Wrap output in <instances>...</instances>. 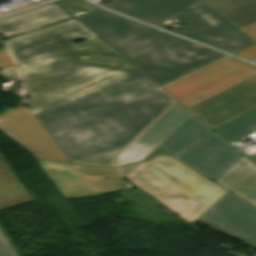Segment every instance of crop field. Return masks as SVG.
Masks as SVG:
<instances>
[{
  "instance_id": "crop-field-3",
  "label": "crop field",
  "mask_w": 256,
  "mask_h": 256,
  "mask_svg": "<svg viewBox=\"0 0 256 256\" xmlns=\"http://www.w3.org/2000/svg\"><path fill=\"white\" fill-rule=\"evenodd\" d=\"M254 69L229 57L163 89L213 129L256 106Z\"/></svg>"
},
{
  "instance_id": "crop-field-15",
  "label": "crop field",
  "mask_w": 256,
  "mask_h": 256,
  "mask_svg": "<svg viewBox=\"0 0 256 256\" xmlns=\"http://www.w3.org/2000/svg\"><path fill=\"white\" fill-rule=\"evenodd\" d=\"M209 131L211 130L192 115L158 146L173 155L180 154L195 145Z\"/></svg>"
},
{
  "instance_id": "crop-field-7",
  "label": "crop field",
  "mask_w": 256,
  "mask_h": 256,
  "mask_svg": "<svg viewBox=\"0 0 256 256\" xmlns=\"http://www.w3.org/2000/svg\"><path fill=\"white\" fill-rule=\"evenodd\" d=\"M240 154L212 131L176 157L256 206V166Z\"/></svg>"
},
{
  "instance_id": "crop-field-4",
  "label": "crop field",
  "mask_w": 256,
  "mask_h": 256,
  "mask_svg": "<svg viewBox=\"0 0 256 256\" xmlns=\"http://www.w3.org/2000/svg\"><path fill=\"white\" fill-rule=\"evenodd\" d=\"M111 50L100 39L18 65L29 112L35 114L128 72L81 59Z\"/></svg>"
},
{
  "instance_id": "crop-field-17",
  "label": "crop field",
  "mask_w": 256,
  "mask_h": 256,
  "mask_svg": "<svg viewBox=\"0 0 256 256\" xmlns=\"http://www.w3.org/2000/svg\"><path fill=\"white\" fill-rule=\"evenodd\" d=\"M73 165L94 188L96 191L94 195L109 194L123 189V183L119 179L115 169Z\"/></svg>"
},
{
  "instance_id": "crop-field-24",
  "label": "crop field",
  "mask_w": 256,
  "mask_h": 256,
  "mask_svg": "<svg viewBox=\"0 0 256 256\" xmlns=\"http://www.w3.org/2000/svg\"><path fill=\"white\" fill-rule=\"evenodd\" d=\"M156 154H165V155H171L168 152H166L165 150L161 149L160 147H156L148 156H146L143 160H147L149 158H151L152 156L156 155ZM142 160V161H143Z\"/></svg>"
},
{
  "instance_id": "crop-field-23",
  "label": "crop field",
  "mask_w": 256,
  "mask_h": 256,
  "mask_svg": "<svg viewBox=\"0 0 256 256\" xmlns=\"http://www.w3.org/2000/svg\"><path fill=\"white\" fill-rule=\"evenodd\" d=\"M0 75L8 79L18 78L15 66L1 70Z\"/></svg>"
},
{
  "instance_id": "crop-field-10",
  "label": "crop field",
  "mask_w": 256,
  "mask_h": 256,
  "mask_svg": "<svg viewBox=\"0 0 256 256\" xmlns=\"http://www.w3.org/2000/svg\"><path fill=\"white\" fill-rule=\"evenodd\" d=\"M197 220L229 236L256 244V209L229 192Z\"/></svg>"
},
{
  "instance_id": "crop-field-8",
  "label": "crop field",
  "mask_w": 256,
  "mask_h": 256,
  "mask_svg": "<svg viewBox=\"0 0 256 256\" xmlns=\"http://www.w3.org/2000/svg\"><path fill=\"white\" fill-rule=\"evenodd\" d=\"M79 39L83 42L73 43ZM95 39L98 37L75 19H70L5 40V43L18 65Z\"/></svg>"
},
{
  "instance_id": "crop-field-22",
  "label": "crop field",
  "mask_w": 256,
  "mask_h": 256,
  "mask_svg": "<svg viewBox=\"0 0 256 256\" xmlns=\"http://www.w3.org/2000/svg\"><path fill=\"white\" fill-rule=\"evenodd\" d=\"M0 44L2 43L0 42ZM11 66H14V63L9 58L5 49L0 50V70Z\"/></svg>"
},
{
  "instance_id": "crop-field-12",
  "label": "crop field",
  "mask_w": 256,
  "mask_h": 256,
  "mask_svg": "<svg viewBox=\"0 0 256 256\" xmlns=\"http://www.w3.org/2000/svg\"><path fill=\"white\" fill-rule=\"evenodd\" d=\"M235 27L255 41L254 44L234 53L256 59V0H202Z\"/></svg>"
},
{
  "instance_id": "crop-field-19",
  "label": "crop field",
  "mask_w": 256,
  "mask_h": 256,
  "mask_svg": "<svg viewBox=\"0 0 256 256\" xmlns=\"http://www.w3.org/2000/svg\"><path fill=\"white\" fill-rule=\"evenodd\" d=\"M83 60L128 72L135 70L133 66L126 62L113 50Z\"/></svg>"
},
{
  "instance_id": "crop-field-6",
  "label": "crop field",
  "mask_w": 256,
  "mask_h": 256,
  "mask_svg": "<svg viewBox=\"0 0 256 256\" xmlns=\"http://www.w3.org/2000/svg\"><path fill=\"white\" fill-rule=\"evenodd\" d=\"M104 6L158 27L173 17L188 24L179 34L231 53L254 43L201 0H114Z\"/></svg>"
},
{
  "instance_id": "crop-field-20",
  "label": "crop field",
  "mask_w": 256,
  "mask_h": 256,
  "mask_svg": "<svg viewBox=\"0 0 256 256\" xmlns=\"http://www.w3.org/2000/svg\"><path fill=\"white\" fill-rule=\"evenodd\" d=\"M122 148L112 151L104 152L101 154L93 155L90 157L82 158L79 160L71 161L74 163H80L84 165H101V166H114L115 154Z\"/></svg>"
},
{
  "instance_id": "crop-field-5",
  "label": "crop field",
  "mask_w": 256,
  "mask_h": 256,
  "mask_svg": "<svg viewBox=\"0 0 256 256\" xmlns=\"http://www.w3.org/2000/svg\"><path fill=\"white\" fill-rule=\"evenodd\" d=\"M124 178L187 223L201 216L227 192L169 156L140 162Z\"/></svg>"
},
{
  "instance_id": "crop-field-26",
  "label": "crop field",
  "mask_w": 256,
  "mask_h": 256,
  "mask_svg": "<svg viewBox=\"0 0 256 256\" xmlns=\"http://www.w3.org/2000/svg\"><path fill=\"white\" fill-rule=\"evenodd\" d=\"M0 231L2 232L3 236L5 237V239L7 240V242L9 243V245L11 246L12 250L14 251V253L16 254V256H20L18 254V252L16 251L15 247L13 246V244L11 243V241L9 240V238L7 237V235L5 234V232L3 231V229L0 226Z\"/></svg>"
},
{
  "instance_id": "crop-field-21",
  "label": "crop field",
  "mask_w": 256,
  "mask_h": 256,
  "mask_svg": "<svg viewBox=\"0 0 256 256\" xmlns=\"http://www.w3.org/2000/svg\"><path fill=\"white\" fill-rule=\"evenodd\" d=\"M0 256H15L0 232Z\"/></svg>"
},
{
  "instance_id": "crop-field-1",
  "label": "crop field",
  "mask_w": 256,
  "mask_h": 256,
  "mask_svg": "<svg viewBox=\"0 0 256 256\" xmlns=\"http://www.w3.org/2000/svg\"><path fill=\"white\" fill-rule=\"evenodd\" d=\"M138 70L35 114L69 161L125 146L172 102Z\"/></svg>"
},
{
  "instance_id": "crop-field-16",
  "label": "crop field",
  "mask_w": 256,
  "mask_h": 256,
  "mask_svg": "<svg viewBox=\"0 0 256 256\" xmlns=\"http://www.w3.org/2000/svg\"><path fill=\"white\" fill-rule=\"evenodd\" d=\"M29 202H33V199L4 160L0 161V209Z\"/></svg>"
},
{
  "instance_id": "crop-field-18",
  "label": "crop field",
  "mask_w": 256,
  "mask_h": 256,
  "mask_svg": "<svg viewBox=\"0 0 256 256\" xmlns=\"http://www.w3.org/2000/svg\"><path fill=\"white\" fill-rule=\"evenodd\" d=\"M230 144L256 131V107L213 129Z\"/></svg>"
},
{
  "instance_id": "crop-field-2",
  "label": "crop field",
  "mask_w": 256,
  "mask_h": 256,
  "mask_svg": "<svg viewBox=\"0 0 256 256\" xmlns=\"http://www.w3.org/2000/svg\"><path fill=\"white\" fill-rule=\"evenodd\" d=\"M76 20L159 87L226 56L99 8Z\"/></svg>"
},
{
  "instance_id": "crop-field-25",
  "label": "crop field",
  "mask_w": 256,
  "mask_h": 256,
  "mask_svg": "<svg viewBox=\"0 0 256 256\" xmlns=\"http://www.w3.org/2000/svg\"><path fill=\"white\" fill-rule=\"evenodd\" d=\"M137 164H138V163L132 164V165H127V166H124V167H122V168H119L118 170H119V172H120V174H121V177L123 178V177H124L129 171H131Z\"/></svg>"
},
{
  "instance_id": "crop-field-27",
  "label": "crop field",
  "mask_w": 256,
  "mask_h": 256,
  "mask_svg": "<svg viewBox=\"0 0 256 256\" xmlns=\"http://www.w3.org/2000/svg\"><path fill=\"white\" fill-rule=\"evenodd\" d=\"M250 159L254 164H256V156L247 157Z\"/></svg>"
},
{
  "instance_id": "crop-field-9",
  "label": "crop field",
  "mask_w": 256,
  "mask_h": 256,
  "mask_svg": "<svg viewBox=\"0 0 256 256\" xmlns=\"http://www.w3.org/2000/svg\"><path fill=\"white\" fill-rule=\"evenodd\" d=\"M0 130L31 152L34 157L66 161L60 149L21 103L0 114Z\"/></svg>"
},
{
  "instance_id": "crop-field-11",
  "label": "crop field",
  "mask_w": 256,
  "mask_h": 256,
  "mask_svg": "<svg viewBox=\"0 0 256 256\" xmlns=\"http://www.w3.org/2000/svg\"><path fill=\"white\" fill-rule=\"evenodd\" d=\"M191 114L177 102L118 155L117 166L141 161Z\"/></svg>"
},
{
  "instance_id": "crop-field-14",
  "label": "crop field",
  "mask_w": 256,
  "mask_h": 256,
  "mask_svg": "<svg viewBox=\"0 0 256 256\" xmlns=\"http://www.w3.org/2000/svg\"><path fill=\"white\" fill-rule=\"evenodd\" d=\"M36 160L65 198L92 196L95 192L72 164Z\"/></svg>"
},
{
  "instance_id": "crop-field-13",
  "label": "crop field",
  "mask_w": 256,
  "mask_h": 256,
  "mask_svg": "<svg viewBox=\"0 0 256 256\" xmlns=\"http://www.w3.org/2000/svg\"><path fill=\"white\" fill-rule=\"evenodd\" d=\"M71 18L54 3L0 20L4 39Z\"/></svg>"
}]
</instances>
